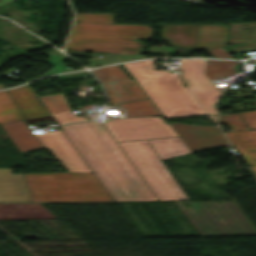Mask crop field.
I'll return each instance as SVG.
<instances>
[{"label":"crop field","mask_w":256,"mask_h":256,"mask_svg":"<svg viewBox=\"0 0 256 256\" xmlns=\"http://www.w3.org/2000/svg\"><path fill=\"white\" fill-rule=\"evenodd\" d=\"M61 128L115 200H156L101 123Z\"/></svg>","instance_id":"obj_1"},{"label":"crop field","mask_w":256,"mask_h":256,"mask_svg":"<svg viewBox=\"0 0 256 256\" xmlns=\"http://www.w3.org/2000/svg\"><path fill=\"white\" fill-rule=\"evenodd\" d=\"M33 201H112L94 173L25 174Z\"/></svg>","instance_id":"obj_2"},{"label":"crop field","mask_w":256,"mask_h":256,"mask_svg":"<svg viewBox=\"0 0 256 256\" xmlns=\"http://www.w3.org/2000/svg\"><path fill=\"white\" fill-rule=\"evenodd\" d=\"M151 35L148 26L74 22L65 49L122 53V48L132 47L135 52L125 54H137L140 43L132 40Z\"/></svg>","instance_id":"obj_3"},{"label":"crop field","mask_w":256,"mask_h":256,"mask_svg":"<svg viewBox=\"0 0 256 256\" xmlns=\"http://www.w3.org/2000/svg\"><path fill=\"white\" fill-rule=\"evenodd\" d=\"M135 79L144 78L140 84L166 118L205 114L186 89L173 90L166 71H154L153 60L125 63Z\"/></svg>","instance_id":"obj_4"},{"label":"crop field","mask_w":256,"mask_h":256,"mask_svg":"<svg viewBox=\"0 0 256 256\" xmlns=\"http://www.w3.org/2000/svg\"><path fill=\"white\" fill-rule=\"evenodd\" d=\"M202 236L256 235L231 202H176Z\"/></svg>","instance_id":"obj_5"},{"label":"crop field","mask_w":256,"mask_h":256,"mask_svg":"<svg viewBox=\"0 0 256 256\" xmlns=\"http://www.w3.org/2000/svg\"><path fill=\"white\" fill-rule=\"evenodd\" d=\"M118 144L159 200L188 199L147 140Z\"/></svg>","instance_id":"obj_6"},{"label":"crop field","mask_w":256,"mask_h":256,"mask_svg":"<svg viewBox=\"0 0 256 256\" xmlns=\"http://www.w3.org/2000/svg\"><path fill=\"white\" fill-rule=\"evenodd\" d=\"M116 141L156 139L178 136L160 117L112 119L104 123Z\"/></svg>","instance_id":"obj_7"},{"label":"crop field","mask_w":256,"mask_h":256,"mask_svg":"<svg viewBox=\"0 0 256 256\" xmlns=\"http://www.w3.org/2000/svg\"><path fill=\"white\" fill-rule=\"evenodd\" d=\"M206 60H180L181 75L188 88L208 110L216 113L214 104L221 92L204 74Z\"/></svg>","instance_id":"obj_8"},{"label":"crop field","mask_w":256,"mask_h":256,"mask_svg":"<svg viewBox=\"0 0 256 256\" xmlns=\"http://www.w3.org/2000/svg\"><path fill=\"white\" fill-rule=\"evenodd\" d=\"M91 72L105 86L112 104L147 98L135 81H130L129 77L118 65L100 68Z\"/></svg>","instance_id":"obj_9"},{"label":"crop field","mask_w":256,"mask_h":256,"mask_svg":"<svg viewBox=\"0 0 256 256\" xmlns=\"http://www.w3.org/2000/svg\"><path fill=\"white\" fill-rule=\"evenodd\" d=\"M43 147H48L68 172H92L63 131L36 135Z\"/></svg>","instance_id":"obj_10"},{"label":"crop field","mask_w":256,"mask_h":256,"mask_svg":"<svg viewBox=\"0 0 256 256\" xmlns=\"http://www.w3.org/2000/svg\"><path fill=\"white\" fill-rule=\"evenodd\" d=\"M172 126L192 152L228 143L218 127L190 126L173 123Z\"/></svg>","instance_id":"obj_11"},{"label":"crop field","mask_w":256,"mask_h":256,"mask_svg":"<svg viewBox=\"0 0 256 256\" xmlns=\"http://www.w3.org/2000/svg\"><path fill=\"white\" fill-rule=\"evenodd\" d=\"M56 218L40 204H0V220Z\"/></svg>","instance_id":"obj_12"},{"label":"crop field","mask_w":256,"mask_h":256,"mask_svg":"<svg viewBox=\"0 0 256 256\" xmlns=\"http://www.w3.org/2000/svg\"><path fill=\"white\" fill-rule=\"evenodd\" d=\"M198 25H164L162 38L173 46L196 48Z\"/></svg>","instance_id":"obj_13"},{"label":"crop field","mask_w":256,"mask_h":256,"mask_svg":"<svg viewBox=\"0 0 256 256\" xmlns=\"http://www.w3.org/2000/svg\"><path fill=\"white\" fill-rule=\"evenodd\" d=\"M26 118L47 116L46 108L41 106L34 92L28 85L8 90Z\"/></svg>","instance_id":"obj_14"},{"label":"crop field","mask_w":256,"mask_h":256,"mask_svg":"<svg viewBox=\"0 0 256 256\" xmlns=\"http://www.w3.org/2000/svg\"><path fill=\"white\" fill-rule=\"evenodd\" d=\"M20 151L43 148L23 121L1 124Z\"/></svg>","instance_id":"obj_15"},{"label":"crop field","mask_w":256,"mask_h":256,"mask_svg":"<svg viewBox=\"0 0 256 256\" xmlns=\"http://www.w3.org/2000/svg\"><path fill=\"white\" fill-rule=\"evenodd\" d=\"M225 135L250 166L256 165V131L227 132Z\"/></svg>","instance_id":"obj_16"},{"label":"crop field","mask_w":256,"mask_h":256,"mask_svg":"<svg viewBox=\"0 0 256 256\" xmlns=\"http://www.w3.org/2000/svg\"><path fill=\"white\" fill-rule=\"evenodd\" d=\"M227 26L199 25L197 51L226 45Z\"/></svg>","instance_id":"obj_17"},{"label":"crop field","mask_w":256,"mask_h":256,"mask_svg":"<svg viewBox=\"0 0 256 256\" xmlns=\"http://www.w3.org/2000/svg\"><path fill=\"white\" fill-rule=\"evenodd\" d=\"M40 99L57 124L85 120L81 117L74 116L62 94L42 96Z\"/></svg>","instance_id":"obj_18"},{"label":"crop field","mask_w":256,"mask_h":256,"mask_svg":"<svg viewBox=\"0 0 256 256\" xmlns=\"http://www.w3.org/2000/svg\"><path fill=\"white\" fill-rule=\"evenodd\" d=\"M148 141L152 145L160 159L191 152L181 138Z\"/></svg>","instance_id":"obj_19"},{"label":"crop field","mask_w":256,"mask_h":256,"mask_svg":"<svg viewBox=\"0 0 256 256\" xmlns=\"http://www.w3.org/2000/svg\"><path fill=\"white\" fill-rule=\"evenodd\" d=\"M237 61L207 60L205 74L212 82L227 80L235 71L233 66Z\"/></svg>","instance_id":"obj_20"},{"label":"crop field","mask_w":256,"mask_h":256,"mask_svg":"<svg viewBox=\"0 0 256 256\" xmlns=\"http://www.w3.org/2000/svg\"><path fill=\"white\" fill-rule=\"evenodd\" d=\"M113 107L124 108L125 117L160 115L149 99L116 104Z\"/></svg>","instance_id":"obj_21"},{"label":"crop field","mask_w":256,"mask_h":256,"mask_svg":"<svg viewBox=\"0 0 256 256\" xmlns=\"http://www.w3.org/2000/svg\"><path fill=\"white\" fill-rule=\"evenodd\" d=\"M19 111L5 91L0 92V123L24 119Z\"/></svg>","instance_id":"obj_22"},{"label":"crop field","mask_w":256,"mask_h":256,"mask_svg":"<svg viewBox=\"0 0 256 256\" xmlns=\"http://www.w3.org/2000/svg\"><path fill=\"white\" fill-rule=\"evenodd\" d=\"M42 54L49 57L47 62L53 66L43 76L73 71L72 69L62 65L68 58L59 51L53 49Z\"/></svg>","instance_id":"obj_23"},{"label":"crop field","mask_w":256,"mask_h":256,"mask_svg":"<svg viewBox=\"0 0 256 256\" xmlns=\"http://www.w3.org/2000/svg\"><path fill=\"white\" fill-rule=\"evenodd\" d=\"M65 52L68 55L95 58V59H87L89 62L88 68L115 62L113 56L109 54L92 53V55H86L84 52H74V51H68V50H65ZM98 55H102V58H98Z\"/></svg>","instance_id":"obj_24"},{"label":"crop field","mask_w":256,"mask_h":256,"mask_svg":"<svg viewBox=\"0 0 256 256\" xmlns=\"http://www.w3.org/2000/svg\"><path fill=\"white\" fill-rule=\"evenodd\" d=\"M74 21L113 23L115 14H76Z\"/></svg>","instance_id":"obj_25"},{"label":"crop field","mask_w":256,"mask_h":256,"mask_svg":"<svg viewBox=\"0 0 256 256\" xmlns=\"http://www.w3.org/2000/svg\"><path fill=\"white\" fill-rule=\"evenodd\" d=\"M221 123L230 127L232 131L249 129L238 114L220 116Z\"/></svg>","instance_id":"obj_26"},{"label":"crop field","mask_w":256,"mask_h":256,"mask_svg":"<svg viewBox=\"0 0 256 256\" xmlns=\"http://www.w3.org/2000/svg\"><path fill=\"white\" fill-rule=\"evenodd\" d=\"M251 129H256V111L239 113Z\"/></svg>","instance_id":"obj_27"},{"label":"crop field","mask_w":256,"mask_h":256,"mask_svg":"<svg viewBox=\"0 0 256 256\" xmlns=\"http://www.w3.org/2000/svg\"><path fill=\"white\" fill-rule=\"evenodd\" d=\"M114 55L116 56L118 62L146 58V55H125V54H114Z\"/></svg>","instance_id":"obj_28"},{"label":"crop field","mask_w":256,"mask_h":256,"mask_svg":"<svg viewBox=\"0 0 256 256\" xmlns=\"http://www.w3.org/2000/svg\"><path fill=\"white\" fill-rule=\"evenodd\" d=\"M174 89L184 88L178 74H168Z\"/></svg>","instance_id":"obj_29"},{"label":"crop field","mask_w":256,"mask_h":256,"mask_svg":"<svg viewBox=\"0 0 256 256\" xmlns=\"http://www.w3.org/2000/svg\"><path fill=\"white\" fill-rule=\"evenodd\" d=\"M89 75H90L89 72L83 71V72L59 75L58 77L62 80H65V79H71V78H77V77H83V76H89Z\"/></svg>","instance_id":"obj_30"},{"label":"crop field","mask_w":256,"mask_h":256,"mask_svg":"<svg viewBox=\"0 0 256 256\" xmlns=\"http://www.w3.org/2000/svg\"><path fill=\"white\" fill-rule=\"evenodd\" d=\"M209 53L213 54L216 57H226V58H233L227 52H225L222 48L217 49H209L207 50Z\"/></svg>","instance_id":"obj_31"},{"label":"crop field","mask_w":256,"mask_h":256,"mask_svg":"<svg viewBox=\"0 0 256 256\" xmlns=\"http://www.w3.org/2000/svg\"><path fill=\"white\" fill-rule=\"evenodd\" d=\"M95 83V80H84L80 87H79V90L80 91H85V90H89L92 85Z\"/></svg>","instance_id":"obj_32"},{"label":"crop field","mask_w":256,"mask_h":256,"mask_svg":"<svg viewBox=\"0 0 256 256\" xmlns=\"http://www.w3.org/2000/svg\"><path fill=\"white\" fill-rule=\"evenodd\" d=\"M210 117L214 122L218 123L217 116L210 115Z\"/></svg>","instance_id":"obj_33"},{"label":"crop field","mask_w":256,"mask_h":256,"mask_svg":"<svg viewBox=\"0 0 256 256\" xmlns=\"http://www.w3.org/2000/svg\"><path fill=\"white\" fill-rule=\"evenodd\" d=\"M8 1H10V0H1L0 5L3 4V3H6Z\"/></svg>","instance_id":"obj_34"},{"label":"crop field","mask_w":256,"mask_h":256,"mask_svg":"<svg viewBox=\"0 0 256 256\" xmlns=\"http://www.w3.org/2000/svg\"><path fill=\"white\" fill-rule=\"evenodd\" d=\"M254 173L256 174V166L252 167Z\"/></svg>","instance_id":"obj_35"},{"label":"crop field","mask_w":256,"mask_h":256,"mask_svg":"<svg viewBox=\"0 0 256 256\" xmlns=\"http://www.w3.org/2000/svg\"><path fill=\"white\" fill-rule=\"evenodd\" d=\"M2 88H3V85L1 84V85H0V89H2Z\"/></svg>","instance_id":"obj_36"}]
</instances>
